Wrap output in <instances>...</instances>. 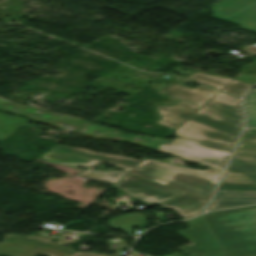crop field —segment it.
Masks as SVG:
<instances>
[{"instance_id": "1", "label": "crop field", "mask_w": 256, "mask_h": 256, "mask_svg": "<svg viewBox=\"0 0 256 256\" xmlns=\"http://www.w3.org/2000/svg\"><path fill=\"white\" fill-rule=\"evenodd\" d=\"M225 256H256V206L202 215Z\"/></svg>"}, {"instance_id": "2", "label": "crop field", "mask_w": 256, "mask_h": 256, "mask_svg": "<svg viewBox=\"0 0 256 256\" xmlns=\"http://www.w3.org/2000/svg\"><path fill=\"white\" fill-rule=\"evenodd\" d=\"M135 167L130 174L150 179L207 200L221 173L213 169L205 171L187 169L150 159H144Z\"/></svg>"}, {"instance_id": "3", "label": "crop field", "mask_w": 256, "mask_h": 256, "mask_svg": "<svg viewBox=\"0 0 256 256\" xmlns=\"http://www.w3.org/2000/svg\"><path fill=\"white\" fill-rule=\"evenodd\" d=\"M41 157L53 163L87 168L82 171L78 177L111 184H115L137 163L141 162L131 158L93 153L84 149H76L60 145L49 150V152H46ZM102 162L116 164V167H120L125 171L100 172L91 170Z\"/></svg>"}, {"instance_id": "4", "label": "crop field", "mask_w": 256, "mask_h": 256, "mask_svg": "<svg viewBox=\"0 0 256 256\" xmlns=\"http://www.w3.org/2000/svg\"><path fill=\"white\" fill-rule=\"evenodd\" d=\"M242 124L200 108L174 134L176 137L233 145Z\"/></svg>"}, {"instance_id": "5", "label": "crop field", "mask_w": 256, "mask_h": 256, "mask_svg": "<svg viewBox=\"0 0 256 256\" xmlns=\"http://www.w3.org/2000/svg\"><path fill=\"white\" fill-rule=\"evenodd\" d=\"M232 147L230 145L175 138L171 143H162L155 151L223 170Z\"/></svg>"}, {"instance_id": "6", "label": "crop field", "mask_w": 256, "mask_h": 256, "mask_svg": "<svg viewBox=\"0 0 256 256\" xmlns=\"http://www.w3.org/2000/svg\"><path fill=\"white\" fill-rule=\"evenodd\" d=\"M42 236H21L6 234L0 244L1 256H70L73 250L49 242Z\"/></svg>"}, {"instance_id": "7", "label": "crop field", "mask_w": 256, "mask_h": 256, "mask_svg": "<svg viewBox=\"0 0 256 256\" xmlns=\"http://www.w3.org/2000/svg\"><path fill=\"white\" fill-rule=\"evenodd\" d=\"M113 187L142 200L149 207L183 193L128 174H126Z\"/></svg>"}, {"instance_id": "8", "label": "crop field", "mask_w": 256, "mask_h": 256, "mask_svg": "<svg viewBox=\"0 0 256 256\" xmlns=\"http://www.w3.org/2000/svg\"><path fill=\"white\" fill-rule=\"evenodd\" d=\"M197 222L199 227L193 223ZM191 229L179 231L178 233L192 242L191 247L182 248L189 256H214L222 254L214 236L206 223L200 217L187 221Z\"/></svg>"}, {"instance_id": "9", "label": "crop field", "mask_w": 256, "mask_h": 256, "mask_svg": "<svg viewBox=\"0 0 256 256\" xmlns=\"http://www.w3.org/2000/svg\"><path fill=\"white\" fill-rule=\"evenodd\" d=\"M226 172H256V129H244Z\"/></svg>"}, {"instance_id": "10", "label": "crop field", "mask_w": 256, "mask_h": 256, "mask_svg": "<svg viewBox=\"0 0 256 256\" xmlns=\"http://www.w3.org/2000/svg\"><path fill=\"white\" fill-rule=\"evenodd\" d=\"M207 203V200H203L184 193L157 206L170 210H175L177 215L190 218L196 214L202 213Z\"/></svg>"}, {"instance_id": "11", "label": "crop field", "mask_w": 256, "mask_h": 256, "mask_svg": "<svg viewBox=\"0 0 256 256\" xmlns=\"http://www.w3.org/2000/svg\"><path fill=\"white\" fill-rule=\"evenodd\" d=\"M256 203V191L217 190L208 210Z\"/></svg>"}, {"instance_id": "12", "label": "crop field", "mask_w": 256, "mask_h": 256, "mask_svg": "<svg viewBox=\"0 0 256 256\" xmlns=\"http://www.w3.org/2000/svg\"><path fill=\"white\" fill-rule=\"evenodd\" d=\"M160 93L201 107L213 95H215L217 91L211 90L203 86H200L196 89H190L180 86L178 84H174L164 89Z\"/></svg>"}, {"instance_id": "13", "label": "crop field", "mask_w": 256, "mask_h": 256, "mask_svg": "<svg viewBox=\"0 0 256 256\" xmlns=\"http://www.w3.org/2000/svg\"><path fill=\"white\" fill-rule=\"evenodd\" d=\"M162 119L157 123L176 130L185 122L199 107L180 101L173 107H157Z\"/></svg>"}, {"instance_id": "14", "label": "crop field", "mask_w": 256, "mask_h": 256, "mask_svg": "<svg viewBox=\"0 0 256 256\" xmlns=\"http://www.w3.org/2000/svg\"><path fill=\"white\" fill-rule=\"evenodd\" d=\"M240 99L218 92L202 108L228 116L243 122V114L239 106Z\"/></svg>"}, {"instance_id": "15", "label": "crop field", "mask_w": 256, "mask_h": 256, "mask_svg": "<svg viewBox=\"0 0 256 256\" xmlns=\"http://www.w3.org/2000/svg\"><path fill=\"white\" fill-rule=\"evenodd\" d=\"M218 189L256 190V173H226Z\"/></svg>"}, {"instance_id": "16", "label": "crop field", "mask_w": 256, "mask_h": 256, "mask_svg": "<svg viewBox=\"0 0 256 256\" xmlns=\"http://www.w3.org/2000/svg\"><path fill=\"white\" fill-rule=\"evenodd\" d=\"M145 222L147 221L139 217L138 215L132 213L110 220L108 221V224L111 226V228L121 229L126 233L133 235L129 232V229L134 226L141 225Z\"/></svg>"}, {"instance_id": "17", "label": "crop field", "mask_w": 256, "mask_h": 256, "mask_svg": "<svg viewBox=\"0 0 256 256\" xmlns=\"http://www.w3.org/2000/svg\"><path fill=\"white\" fill-rule=\"evenodd\" d=\"M188 78H192L199 84L209 86L218 90H220L226 84H228L230 81L233 80L228 78L210 76L200 72H196L193 75L189 76Z\"/></svg>"}, {"instance_id": "18", "label": "crop field", "mask_w": 256, "mask_h": 256, "mask_svg": "<svg viewBox=\"0 0 256 256\" xmlns=\"http://www.w3.org/2000/svg\"><path fill=\"white\" fill-rule=\"evenodd\" d=\"M249 86L250 85L245 84L243 82L233 80L227 86H225L223 89H221V91L227 92V93L235 95L237 97H242L245 90Z\"/></svg>"}, {"instance_id": "19", "label": "crop field", "mask_w": 256, "mask_h": 256, "mask_svg": "<svg viewBox=\"0 0 256 256\" xmlns=\"http://www.w3.org/2000/svg\"><path fill=\"white\" fill-rule=\"evenodd\" d=\"M246 112H256V89H251L243 102Z\"/></svg>"}, {"instance_id": "20", "label": "crop field", "mask_w": 256, "mask_h": 256, "mask_svg": "<svg viewBox=\"0 0 256 256\" xmlns=\"http://www.w3.org/2000/svg\"><path fill=\"white\" fill-rule=\"evenodd\" d=\"M247 114V125L246 127H256V113Z\"/></svg>"}, {"instance_id": "21", "label": "crop field", "mask_w": 256, "mask_h": 256, "mask_svg": "<svg viewBox=\"0 0 256 256\" xmlns=\"http://www.w3.org/2000/svg\"><path fill=\"white\" fill-rule=\"evenodd\" d=\"M71 256H107V255H101L96 253H77L74 252Z\"/></svg>"}, {"instance_id": "22", "label": "crop field", "mask_w": 256, "mask_h": 256, "mask_svg": "<svg viewBox=\"0 0 256 256\" xmlns=\"http://www.w3.org/2000/svg\"><path fill=\"white\" fill-rule=\"evenodd\" d=\"M220 256H224V255H220Z\"/></svg>"}]
</instances>
